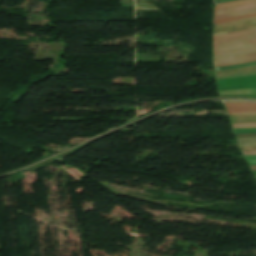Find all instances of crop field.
Returning a JSON list of instances; mask_svg holds the SVG:
<instances>
[{
    "instance_id": "crop-field-3",
    "label": "crop field",
    "mask_w": 256,
    "mask_h": 256,
    "mask_svg": "<svg viewBox=\"0 0 256 256\" xmlns=\"http://www.w3.org/2000/svg\"><path fill=\"white\" fill-rule=\"evenodd\" d=\"M255 60H256V52H253V53L243 54L238 56L214 58V65L215 67H219V66H227V65L255 61Z\"/></svg>"
},
{
    "instance_id": "crop-field-7",
    "label": "crop field",
    "mask_w": 256,
    "mask_h": 256,
    "mask_svg": "<svg viewBox=\"0 0 256 256\" xmlns=\"http://www.w3.org/2000/svg\"><path fill=\"white\" fill-rule=\"evenodd\" d=\"M253 2H256V0H244V1H236V2L219 4V5L215 6L214 11L224 9V8L234 7V6L245 5V4H249V3H253Z\"/></svg>"
},
{
    "instance_id": "crop-field-17",
    "label": "crop field",
    "mask_w": 256,
    "mask_h": 256,
    "mask_svg": "<svg viewBox=\"0 0 256 256\" xmlns=\"http://www.w3.org/2000/svg\"><path fill=\"white\" fill-rule=\"evenodd\" d=\"M226 1H230V0L218 1V2H215V3H222V2H226Z\"/></svg>"
},
{
    "instance_id": "crop-field-13",
    "label": "crop field",
    "mask_w": 256,
    "mask_h": 256,
    "mask_svg": "<svg viewBox=\"0 0 256 256\" xmlns=\"http://www.w3.org/2000/svg\"><path fill=\"white\" fill-rule=\"evenodd\" d=\"M245 127H256V124H238V125H233V128H245Z\"/></svg>"
},
{
    "instance_id": "crop-field-15",
    "label": "crop field",
    "mask_w": 256,
    "mask_h": 256,
    "mask_svg": "<svg viewBox=\"0 0 256 256\" xmlns=\"http://www.w3.org/2000/svg\"><path fill=\"white\" fill-rule=\"evenodd\" d=\"M243 155H253V154H256V151L255 152H242Z\"/></svg>"
},
{
    "instance_id": "crop-field-9",
    "label": "crop field",
    "mask_w": 256,
    "mask_h": 256,
    "mask_svg": "<svg viewBox=\"0 0 256 256\" xmlns=\"http://www.w3.org/2000/svg\"><path fill=\"white\" fill-rule=\"evenodd\" d=\"M250 17H256V12L250 13V14L241 15V16H237V17L216 20V21H214V24H220V23H224V22L240 20V19H245V18H250Z\"/></svg>"
},
{
    "instance_id": "crop-field-6",
    "label": "crop field",
    "mask_w": 256,
    "mask_h": 256,
    "mask_svg": "<svg viewBox=\"0 0 256 256\" xmlns=\"http://www.w3.org/2000/svg\"><path fill=\"white\" fill-rule=\"evenodd\" d=\"M232 124L256 123V115H229Z\"/></svg>"
},
{
    "instance_id": "crop-field-19",
    "label": "crop field",
    "mask_w": 256,
    "mask_h": 256,
    "mask_svg": "<svg viewBox=\"0 0 256 256\" xmlns=\"http://www.w3.org/2000/svg\"><path fill=\"white\" fill-rule=\"evenodd\" d=\"M214 1H216V0H214Z\"/></svg>"
},
{
    "instance_id": "crop-field-2",
    "label": "crop field",
    "mask_w": 256,
    "mask_h": 256,
    "mask_svg": "<svg viewBox=\"0 0 256 256\" xmlns=\"http://www.w3.org/2000/svg\"><path fill=\"white\" fill-rule=\"evenodd\" d=\"M256 28V18L245 19L220 25H214L213 27V35L230 33V32H238L247 29Z\"/></svg>"
},
{
    "instance_id": "crop-field-10",
    "label": "crop field",
    "mask_w": 256,
    "mask_h": 256,
    "mask_svg": "<svg viewBox=\"0 0 256 256\" xmlns=\"http://www.w3.org/2000/svg\"><path fill=\"white\" fill-rule=\"evenodd\" d=\"M254 11H256V8H252V9H248V10H243V11H238V12H234V13H229V14H225V15L216 16V17H214V20L221 19V18L232 17V16H236V15H241V14H245V13H250V12H254Z\"/></svg>"
},
{
    "instance_id": "crop-field-12",
    "label": "crop field",
    "mask_w": 256,
    "mask_h": 256,
    "mask_svg": "<svg viewBox=\"0 0 256 256\" xmlns=\"http://www.w3.org/2000/svg\"><path fill=\"white\" fill-rule=\"evenodd\" d=\"M219 94H220V96L235 95V94H251V91H250V89L231 90V91L219 92Z\"/></svg>"
},
{
    "instance_id": "crop-field-4",
    "label": "crop field",
    "mask_w": 256,
    "mask_h": 256,
    "mask_svg": "<svg viewBox=\"0 0 256 256\" xmlns=\"http://www.w3.org/2000/svg\"><path fill=\"white\" fill-rule=\"evenodd\" d=\"M229 114H256V104L225 103Z\"/></svg>"
},
{
    "instance_id": "crop-field-16",
    "label": "crop field",
    "mask_w": 256,
    "mask_h": 256,
    "mask_svg": "<svg viewBox=\"0 0 256 256\" xmlns=\"http://www.w3.org/2000/svg\"><path fill=\"white\" fill-rule=\"evenodd\" d=\"M249 141H256V140H244V141H238V142H249Z\"/></svg>"
},
{
    "instance_id": "crop-field-11",
    "label": "crop field",
    "mask_w": 256,
    "mask_h": 256,
    "mask_svg": "<svg viewBox=\"0 0 256 256\" xmlns=\"http://www.w3.org/2000/svg\"><path fill=\"white\" fill-rule=\"evenodd\" d=\"M253 65H256V61H255V62H249V63L238 64V65H233V66L215 68V70H216V71H220V70H229V69H236V68H242V67L253 66Z\"/></svg>"
},
{
    "instance_id": "crop-field-14",
    "label": "crop field",
    "mask_w": 256,
    "mask_h": 256,
    "mask_svg": "<svg viewBox=\"0 0 256 256\" xmlns=\"http://www.w3.org/2000/svg\"><path fill=\"white\" fill-rule=\"evenodd\" d=\"M240 147L246 146H256V142H249V143H239Z\"/></svg>"
},
{
    "instance_id": "crop-field-5",
    "label": "crop field",
    "mask_w": 256,
    "mask_h": 256,
    "mask_svg": "<svg viewBox=\"0 0 256 256\" xmlns=\"http://www.w3.org/2000/svg\"><path fill=\"white\" fill-rule=\"evenodd\" d=\"M253 74H256V67L216 72L217 79L253 75Z\"/></svg>"
},
{
    "instance_id": "crop-field-18",
    "label": "crop field",
    "mask_w": 256,
    "mask_h": 256,
    "mask_svg": "<svg viewBox=\"0 0 256 256\" xmlns=\"http://www.w3.org/2000/svg\"><path fill=\"white\" fill-rule=\"evenodd\" d=\"M242 139H256V138H242ZM242 139H237V140H242Z\"/></svg>"
},
{
    "instance_id": "crop-field-1",
    "label": "crop field",
    "mask_w": 256,
    "mask_h": 256,
    "mask_svg": "<svg viewBox=\"0 0 256 256\" xmlns=\"http://www.w3.org/2000/svg\"><path fill=\"white\" fill-rule=\"evenodd\" d=\"M256 50V29L214 36V56Z\"/></svg>"
},
{
    "instance_id": "crop-field-8",
    "label": "crop field",
    "mask_w": 256,
    "mask_h": 256,
    "mask_svg": "<svg viewBox=\"0 0 256 256\" xmlns=\"http://www.w3.org/2000/svg\"><path fill=\"white\" fill-rule=\"evenodd\" d=\"M252 7H256V3L250 4V5H245V6H240V7L224 9V10H220V11H216V12H214V16L220 15V14L229 13V12H234V11H238V10L248 9V8H252Z\"/></svg>"
}]
</instances>
